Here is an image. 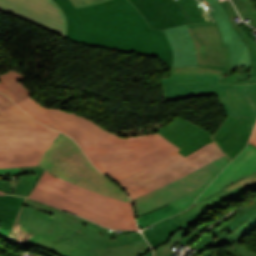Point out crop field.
<instances>
[{"instance_id": "8a807250", "label": "crop field", "mask_w": 256, "mask_h": 256, "mask_svg": "<svg viewBox=\"0 0 256 256\" xmlns=\"http://www.w3.org/2000/svg\"><path fill=\"white\" fill-rule=\"evenodd\" d=\"M54 1L68 18L67 38L81 44L146 54L171 66V47L163 30L149 28L127 0H109L78 9L70 0Z\"/></svg>"}, {"instance_id": "ac0d7876", "label": "crop field", "mask_w": 256, "mask_h": 256, "mask_svg": "<svg viewBox=\"0 0 256 256\" xmlns=\"http://www.w3.org/2000/svg\"><path fill=\"white\" fill-rule=\"evenodd\" d=\"M86 223L88 220L26 198L8 242L14 244L22 231L32 234L27 246L60 256H99L93 244L78 232Z\"/></svg>"}, {"instance_id": "34b2d1b8", "label": "crop field", "mask_w": 256, "mask_h": 256, "mask_svg": "<svg viewBox=\"0 0 256 256\" xmlns=\"http://www.w3.org/2000/svg\"><path fill=\"white\" fill-rule=\"evenodd\" d=\"M29 197L108 228L138 230L130 203L117 201L45 171Z\"/></svg>"}, {"instance_id": "412701ff", "label": "crop field", "mask_w": 256, "mask_h": 256, "mask_svg": "<svg viewBox=\"0 0 256 256\" xmlns=\"http://www.w3.org/2000/svg\"><path fill=\"white\" fill-rule=\"evenodd\" d=\"M177 149L179 148L155 132L145 136L123 138L86 155L96 168L114 181L171 156Z\"/></svg>"}, {"instance_id": "f4fd0767", "label": "crop field", "mask_w": 256, "mask_h": 256, "mask_svg": "<svg viewBox=\"0 0 256 256\" xmlns=\"http://www.w3.org/2000/svg\"><path fill=\"white\" fill-rule=\"evenodd\" d=\"M162 87L167 102L216 95L226 115H251L253 125L256 121V84L222 85L218 76L193 75L166 77Z\"/></svg>"}, {"instance_id": "dd49c442", "label": "crop field", "mask_w": 256, "mask_h": 256, "mask_svg": "<svg viewBox=\"0 0 256 256\" xmlns=\"http://www.w3.org/2000/svg\"><path fill=\"white\" fill-rule=\"evenodd\" d=\"M38 165L57 177L75 182L117 200L130 202L124 192L90 163L80 147L62 133L52 143Z\"/></svg>"}, {"instance_id": "e52e79f7", "label": "crop field", "mask_w": 256, "mask_h": 256, "mask_svg": "<svg viewBox=\"0 0 256 256\" xmlns=\"http://www.w3.org/2000/svg\"><path fill=\"white\" fill-rule=\"evenodd\" d=\"M223 155L216 143L212 142L186 157L178 152L149 168L118 179L116 182L128 191L132 199L178 179Z\"/></svg>"}, {"instance_id": "d8731c3e", "label": "crop field", "mask_w": 256, "mask_h": 256, "mask_svg": "<svg viewBox=\"0 0 256 256\" xmlns=\"http://www.w3.org/2000/svg\"><path fill=\"white\" fill-rule=\"evenodd\" d=\"M223 156L208 165L144 196L134 198L138 216L146 214L169 203H174L181 211L190 207L206 186L230 162ZM155 197V199H153Z\"/></svg>"}, {"instance_id": "5a996713", "label": "crop field", "mask_w": 256, "mask_h": 256, "mask_svg": "<svg viewBox=\"0 0 256 256\" xmlns=\"http://www.w3.org/2000/svg\"><path fill=\"white\" fill-rule=\"evenodd\" d=\"M18 105L33 118L70 135L85 153L123 138L80 116L62 110L44 108L31 96Z\"/></svg>"}, {"instance_id": "3316defc", "label": "crop field", "mask_w": 256, "mask_h": 256, "mask_svg": "<svg viewBox=\"0 0 256 256\" xmlns=\"http://www.w3.org/2000/svg\"><path fill=\"white\" fill-rule=\"evenodd\" d=\"M0 11L64 37L67 33L66 17L53 0H0Z\"/></svg>"}, {"instance_id": "28ad6ade", "label": "crop field", "mask_w": 256, "mask_h": 256, "mask_svg": "<svg viewBox=\"0 0 256 256\" xmlns=\"http://www.w3.org/2000/svg\"><path fill=\"white\" fill-rule=\"evenodd\" d=\"M27 115L0 93V137H25L52 141L59 134Z\"/></svg>"}, {"instance_id": "d1516ede", "label": "crop field", "mask_w": 256, "mask_h": 256, "mask_svg": "<svg viewBox=\"0 0 256 256\" xmlns=\"http://www.w3.org/2000/svg\"><path fill=\"white\" fill-rule=\"evenodd\" d=\"M195 43L198 66L227 70L229 51L223 45L215 23L187 25Z\"/></svg>"}, {"instance_id": "22f410ed", "label": "crop field", "mask_w": 256, "mask_h": 256, "mask_svg": "<svg viewBox=\"0 0 256 256\" xmlns=\"http://www.w3.org/2000/svg\"><path fill=\"white\" fill-rule=\"evenodd\" d=\"M51 143L25 138H0V168L37 166Z\"/></svg>"}, {"instance_id": "cbeb9de0", "label": "crop field", "mask_w": 256, "mask_h": 256, "mask_svg": "<svg viewBox=\"0 0 256 256\" xmlns=\"http://www.w3.org/2000/svg\"><path fill=\"white\" fill-rule=\"evenodd\" d=\"M206 11L213 17L220 30L224 44L230 50V64L228 68L250 66L248 49L236 33L229 17L219 0H199Z\"/></svg>"}, {"instance_id": "5142ce71", "label": "crop field", "mask_w": 256, "mask_h": 256, "mask_svg": "<svg viewBox=\"0 0 256 256\" xmlns=\"http://www.w3.org/2000/svg\"><path fill=\"white\" fill-rule=\"evenodd\" d=\"M145 17L150 27L163 29L189 23V20L174 0H130ZM178 11V13H177Z\"/></svg>"}, {"instance_id": "d9b57169", "label": "crop field", "mask_w": 256, "mask_h": 256, "mask_svg": "<svg viewBox=\"0 0 256 256\" xmlns=\"http://www.w3.org/2000/svg\"><path fill=\"white\" fill-rule=\"evenodd\" d=\"M157 131L185 156L212 141L209 133L178 117Z\"/></svg>"}, {"instance_id": "733c2abd", "label": "crop field", "mask_w": 256, "mask_h": 256, "mask_svg": "<svg viewBox=\"0 0 256 256\" xmlns=\"http://www.w3.org/2000/svg\"><path fill=\"white\" fill-rule=\"evenodd\" d=\"M251 130L250 116L226 117L220 129L212 134V138L232 160L245 147Z\"/></svg>"}, {"instance_id": "4a817a6b", "label": "crop field", "mask_w": 256, "mask_h": 256, "mask_svg": "<svg viewBox=\"0 0 256 256\" xmlns=\"http://www.w3.org/2000/svg\"><path fill=\"white\" fill-rule=\"evenodd\" d=\"M252 172H256V149L247 145L242 153L220 173V175L201 194L196 202L210 195L219 188L246 175L252 174Z\"/></svg>"}, {"instance_id": "bc2a9ffb", "label": "crop field", "mask_w": 256, "mask_h": 256, "mask_svg": "<svg viewBox=\"0 0 256 256\" xmlns=\"http://www.w3.org/2000/svg\"><path fill=\"white\" fill-rule=\"evenodd\" d=\"M94 232H91V231ZM84 234L97 249L118 247L145 241L141 233L123 231V233L109 232V229L103 228L89 221L87 225L79 230Z\"/></svg>"}, {"instance_id": "214f88e0", "label": "crop field", "mask_w": 256, "mask_h": 256, "mask_svg": "<svg viewBox=\"0 0 256 256\" xmlns=\"http://www.w3.org/2000/svg\"><path fill=\"white\" fill-rule=\"evenodd\" d=\"M164 32L172 46V66H197L195 47L187 26L166 29Z\"/></svg>"}, {"instance_id": "92a150f3", "label": "crop field", "mask_w": 256, "mask_h": 256, "mask_svg": "<svg viewBox=\"0 0 256 256\" xmlns=\"http://www.w3.org/2000/svg\"><path fill=\"white\" fill-rule=\"evenodd\" d=\"M224 8L226 9L231 22L236 28L239 36L242 38L244 43L247 45L250 57H251V67L250 72H239L233 74V69H228L225 76H220L222 83H252L256 82V43H252L249 37L244 33V31L239 27L237 23L234 22L233 18L237 17V13L234 10L230 0L222 1Z\"/></svg>"}, {"instance_id": "dafd665d", "label": "crop field", "mask_w": 256, "mask_h": 256, "mask_svg": "<svg viewBox=\"0 0 256 256\" xmlns=\"http://www.w3.org/2000/svg\"><path fill=\"white\" fill-rule=\"evenodd\" d=\"M240 212L223 223L222 229L231 232L222 242L238 243L240 239L250 230L256 227V201L239 210Z\"/></svg>"}, {"instance_id": "00972430", "label": "crop field", "mask_w": 256, "mask_h": 256, "mask_svg": "<svg viewBox=\"0 0 256 256\" xmlns=\"http://www.w3.org/2000/svg\"><path fill=\"white\" fill-rule=\"evenodd\" d=\"M204 212L205 210L197 212L188 217L185 220L183 227L172 219L167 218L159 223L154 224V227L143 230V234L150 245L155 249L158 246L168 242L174 232L180 229L184 231L185 229L189 228L188 226L196 221Z\"/></svg>"}, {"instance_id": "a9b5d70f", "label": "crop field", "mask_w": 256, "mask_h": 256, "mask_svg": "<svg viewBox=\"0 0 256 256\" xmlns=\"http://www.w3.org/2000/svg\"><path fill=\"white\" fill-rule=\"evenodd\" d=\"M25 198L0 196V236L7 241Z\"/></svg>"}, {"instance_id": "4177f3b9", "label": "crop field", "mask_w": 256, "mask_h": 256, "mask_svg": "<svg viewBox=\"0 0 256 256\" xmlns=\"http://www.w3.org/2000/svg\"><path fill=\"white\" fill-rule=\"evenodd\" d=\"M245 191L247 190L241 186L229 192L220 190L214 193L213 195L205 198L204 200L200 201L199 203L193 205L190 209L186 210L185 212L171 217H174L172 219L175 220L180 225H182L184 220L194 212L213 208L224 201L236 199Z\"/></svg>"}, {"instance_id": "730fd06b", "label": "crop field", "mask_w": 256, "mask_h": 256, "mask_svg": "<svg viewBox=\"0 0 256 256\" xmlns=\"http://www.w3.org/2000/svg\"><path fill=\"white\" fill-rule=\"evenodd\" d=\"M24 78L11 70L8 71L0 76V91L7 94L16 103L29 97L30 92L20 81Z\"/></svg>"}, {"instance_id": "eef30255", "label": "crop field", "mask_w": 256, "mask_h": 256, "mask_svg": "<svg viewBox=\"0 0 256 256\" xmlns=\"http://www.w3.org/2000/svg\"><path fill=\"white\" fill-rule=\"evenodd\" d=\"M229 233L225 232L221 228L214 226L210 230H208L199 240L191 245V248H195L200 250L199 253H202L207 248L219 246L221 241L228 235Z\"/></svg>"}, {"instance_id": "ae1a2a85", "label": "crop field", "mask_w": 256, "mask_h": 256, "mask_svg": "<svg viewBox=\"0 0 256 256\" xmlns=\"http://www.w3.org/2000/svg\"><path fill=\"white\" fill-rule=\"evenodd\" d=\"M152 250L147 242L98 250L100 256H141Z\"/></svg>"}, {"instance_id": "d3111659", "label": "crop field", "mask_w": 256, "mask_h": 256, "mask_svg": "<svg viewBox=\"0 0 256 256\" xmlns=\"http://www.w3.org/2000/svg\"><path fill=\"white\" fill-rule=\"evenodd\" d=\"M175 1L184 8L191 23L212 21L197 0Z\"/></svg>"}, {"instance_id": "750c4746", "label": "crop field", "mask_w": 256, "mask_h": 256, "mask_svg": "<svg viewBox=\"0 0 256 256\" xmlns=\"http://www.w3.org/2000/svg\"><path fill=\"white\" fill-rule=\"evenodd\" d=\"M177 212H180V210L174 204H170L146 215L137 217V223L139 228H144Z\"/></svg>"}, {"instance_id": "bd1437ed", "label": "crop field", "mask_w": 256, "mask_h": 256, "mask_svg": "<svg viewBox=\"0 0 256 256\" xmlns=\"http://www.w3.org/2000/svg\"><path fill=\"white\" fill-rule=\"evenodd\" d=\"M44 169L37 166V167H26V168H21V173L25 172H34L37 173L38 175L36 176H26L23 177L17 184L16 190L14 194L21 195L27 197L36 184L39 176L43 173Z\"/></svg>"}, {"instance_id": "1d83c4d3", "label": "crop field", "mask_w": 256, "mask_h": 256, "mask_svg": "<svg viewBox=\"0 0 256 256\" xmlns=\"http://www.w3.org/2000/svg\"><path fill=\"white\" fill-rule=\"evenodd\" d=\"M171 76L206 74L225 75L226 71L204 67H170Z\"/></svg>"}, {"instance_id": "120bbe31", "label": "crop field", "mask_w": 256, "mask_h": 256, "mask_svg": "<svg viewBox=\"0 0 256 256\" xmlns=\"http://www.w3.org/2000/svg\"><path fill=\"white\" fill-rule=\"evenodd\" d=\"M237 7L241 17L249 19L251 25L256 27V8L251 0H232Z\"/></svg>"}, {"instance_id": "d32e631a", "label": "crop field", "mask_w": 256, "mask_h": 256, "mask_svg": "<svg viewBox=\"0 0 256 256\" xmlns=\"http://www.w3.org/2000/svg\"><path fill=\"white\" fill-rule=\"evenodd\" d=\"M192 228L185 230L184 232L182 230L174 233V235L171 237L169 243L162 245L155 249V256H171L173 254V251L170 249L176 245L180 240H182V236L190 231Z\"/></svg>"}, {"instance_id": "5866460e", "label": "crop field", "mask_w": 256, "mask_h": 256, "mask_svg": "<svg viewBox=\"0 0 256 256\" xmlns=\"http://www.w3.org/2000/svg\"><path fill=\"white\" fill-rule=\"evenodd\" d=\"M243 186L244 188H246L247 190H251V189H254L256 188V173L253 174V175H250V176H247L225 188H223L222 190H226V191H229L237 186Z\"/></svg>"}, {"instance_id": "028f5c9d", "label": "crop field", "mask_w": 256, "mask_h": 256, "mask_svg": "<svg viewBox=\"0 0 256 256\" xmlns=\"http://www.w3.org/2000/svg\"><path fill=\"white\" fill-rule=\"evenodd\" d=\"M197 256H239V255L233 250L232 246H230L222 250L215 249L211 251H206L202 254H198Z\"/></svg>"}, {"instance_id": "e1f06a70", "label": "crop field", "mask_w": 256, "mask_h": 256, "mask_svg": "<svg viewBox=\"0 0 256 256\" xmlns=\"http://www.w3.org/2000/svg\"><path fill=\"white\" fill-rule=\"evenodd\" d=\"M71 1L75 5V7L78 8L86 5L97 4L106 0H71Z\"/></svg>"}, {"instance_id": "0bd39190", "label": "crop field", "mask_w": 256, "mask_h": 256, "mask_svg": "<svg viewBox=\"0 0 256 256\" xmlns=\"http://www.w3.org/2000/svg\"><path fill=\"white\" fill-rule=\"evenodd\" d=\"M233 248L241 256H256V254L250 252L249 250H247L246 248H244L241 245L233 244Z\"/></svg>"}, {"instance_id": "b80d0937", "label": "crop field", "mask_w": 256, "mask_h": 256, "mask_svg": "<svg viewBox=\"0 0 256 256\" xmlns=\"http://www.w3.org/2000/svg\"><path fill=\"white\" fill-rule=\"evenodd\" d=\"M20 168L0 169V175H19Z\"/></svg>"}, {"instance_id": "c035e120", "label": "crop field", "mask_w": 256, "mask_h": 256, "mask_svg": "<svg viewBox=\"0 0 256 256\" xmlns=\"http://www.w3.org/2000/svg\"><path fill=\"white\" fill-rule=\"evenodd\" d=\"M243 30L246 32V34L250 37L251 41L254 42V34L252 33L253 29H251L249 26L243 28Z\"/></svg>"}, {"instance_id": "c21b1889", "label": "crop field", "mask_w": 256, "mask_h": 256, "mask_svg": "<svg viewBox=\"0 0 256 256\" xmlns=\"http://www.w3.org/2000/svg\"><path fill=\"white\" fill-rule=\"evenodd\" d=\"M250 145L254 146L256 148V125L252 133L251 140L249 142Z\"/></svg>"}, {"instance_id": "03da06ac", "label": "crop field", "mask_w": 256, "mask_h": 256, "mask_svg": "<svg viewBox=\"0 0 256 256\" xmlns=\"http://www.w3.org/2000/svg\"><path fill=\"white\" fill-rule=\"evenodd\" d=\"M239 211L227 216L225 219H223L219 224H217V226H219L220 224H222L223 222H225L226 220H228L229 218H231L232 216L236 215Z\"/></svg>"}, {"instance_id": "b54c1fbb", "label": "crop field", "mask_w": 256, "mask_h": 256, "mask_svg": "<svg viewBox=\"0 0 256 256\" xmlns=\"http://www.w3.org/2000/svg\"><path fill=\"white\" fill-rule=\"evenodd\" d=\"M34 249L39 250V251H41V252H43V253H45V254H47V255H49V256H54V255H52V254H50V253H48V252H44V251H42V250H40V249H38V248H34Z\"/></svg>"}, {"instance_id": "5d738f31", "label": "crop field", "mask_w": 256, "mask_h": 256, "mask_svg": "<svg viewBox=\"0 0 256 256\" xmlns=\"http://www.w3.org/2000/svg\"><path fill=\"white\" fill-rule=\"evenodd\" d=\"M144 256H152V251H150L149 253H147L146 255Z\"/></svg>"}]
</instances>
